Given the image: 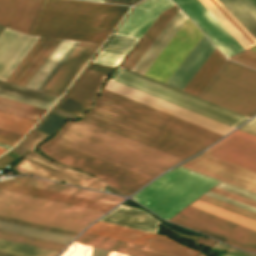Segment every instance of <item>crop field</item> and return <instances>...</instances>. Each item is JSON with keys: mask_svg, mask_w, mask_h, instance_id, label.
I'll return each instance as SVG.
<instances>
[{"mask_svg": "<svg viewBox=\"0 0 256 256\" xmlns=\"http://www.w3.org/2000/svg\"><path fill=\"white\" fill-rule=\"evenodd\" d=\"M82 120L181 159L223 136L106 89Z\"/></svg>", "mask_w": 256, "mask_h": 256, "instance_id": "crop-field-1", "label": "crop field"}, {"mask_svg": "<svg viewBox=\"0 0 256 256\" xmlns=\"http://www.w3.org/2000/svg\"><path fill=\"white\" fill-rule=\"evenodd\" d=\"M53 140L151 179L181 160L82 120L69 121Z\"/></svg>", "mask_w": 256, "mask_h": 256, "instance_id": "crop-field-2", "label": "crop field"}, {"mask_svg": "<svg viewBox=\"0 0 256 256\" xmlns=\"http://www.w3.org/2000/svg\"><path fill=\"white\" fill-rule=\"evenodd\" d=\"M130 7L44 0L29 34L103 42Z\"/></svg>", "mask_w": 256, "mask_h": 256, "instance_id": "crop-field-3", "label": "crop field"}, {"mask_svg": "<svg viewBox=\"0 0 256 256\" xmlns=\"http://www.w3.org/2000/svg\"><path fill=\"white\" fill-rule=\"evenodd\" d=\"M104 212L0 189V215L80 232Z\"/></svg>", "mask_w": 256, "mask_h": 256, "instance_id": "crop-field-4", "label": "crop field"}, {"mask_svg": "<svg viewBox=\"0 0 256 256\" xmlns=\"http://www.w3.org/2000/svg\"><path fill=\"white\" fill-rule=\"evenodd\" d=\"M217 182L219 181L178 167L149 184L132 198L167 220Z\"/></svg>", "mask_w": 256, "mask_h": 256, "instance_id": "crop-field-5", "label": "crop field"}, {"mask_svg": "<svg viewBox=\"0 0 256 256\" xmlns=\"http://www.w3.org/2000/svg\"><path fill=\"white\" fill-rule=\"evenodd\" d=\"M199 97L251 117L256 114V71L226 60Z\"/></svg>", "mask_w": 256, "mask_h": 256, "instance_id": "crop-field-6", "label": "crop field"}, {"mask_svg": "<svg viewBox=\"0 0 256 256\" xmlns=\"http://www.w3.org/2000/svg\"><path fill=\"white\" fill-rule=\"evenodd\" d=\"M111 80L152 95L169 103L175 104L192 112L198 113L220 123L226 124L233 128L237 127L246 119H248L245 116L200 100L122 68H119L112 75Z\"/></svg>", "mask_w": 256, "mask_h": 256, "instance_id": "crop-field-7", "label": "crop field"}, {"mask_svg": "<svg viewBox=\"0 0 256 256\" xmlns=\"http://www.w3.org/2000/svg\"><path fill=\"white\" fill-rule=\"evenodd\" d=\"M40 147L50 157L64 164L93 173L109 186L126 195L132 194L151 180L53 140Z\"/></svg>", "mask_w": 256, "mask_h": 256, "instance_id": "crop-field-8", "label": "crop field"}, {"mask_svg": "<svg viewBox=\"0 0 256 256\" xmlns=\"http://www.w3.org/2000/svg\"><path fill=\"white\" fill-rule=\"evenodd\" d=\"M169 221L195 229L244 250L256 251V231L191 206Z\"/></svg>", "mask_w": 256, "mask_h": 256, "instance_id": "crop-field-9", "label": "crop field"}, {"mask_svg": "<svg viewBox=\"0 0 256 256\" xmlns=\"http://www.w3.org/2000/svg\"><path fill=\"white\" fill-rule=\"evenodd\" d=\"M202 35L187 18L144 76L165 83Z\"/></svg>", "mask_w": 256, "mask_h": 256, "instance_id": "crop-field-10", "label": "crop field"}, {"mask_svg": "<svg viewBox=\"0 0 256 256\" xmlns=\"http://www.w3.org/2000/svg\"><path fill=\"white\" fill-rule=\"evenodd\" d=\"M85 232L186 256H196L199 254V252L186 248L162 235L151 234L101 221L95 223Z\"/></svg>", "mask_w": 256, "mask_h": 256, "instance_id": "crop-field-11", "label": "crop field"}, {"mask_svg": "<svg viewBox=\"0 0 256 256\" xmlns=\"http://www.w3.org/2000/svg\"><path fill=\"white\" fill-rule=\"evenodd\" d=\"M226 56L244 48L198 0H173Z\"/></svg>", "mask_w": 256, "mask_h": 256, "instance_id": "crop-field-12", "label": "crop field"}, {"mask_svg": "<svg viewBox=\"0 0 256 256\" xmlns=\"http://www.w3.org/2000/svg\"><path fill=\"white\" fill-rule=\"evenodd\" d=\"M182 166L256 192V172L211 156L202 154Z\"/></svg>", "mask_w": 256, "mask_h": 256, "instance_id": "crop-field-13", "label": "crop field"}, {"mask_svg": "<svg viewBox=\"0 0 256 256\" xmlns=\"http://www.w3.org/2000/svg\"><path fill=\"white\" fill-rule=\"evenodd\" d=\"M27 159L35 160L45 166L58 170V172L45 168L36 163H33ZM16 166L41 178L67 182V183L84 186V187H88V188H92L100 191H102L106 185L104 182H102L98 178L80 173L78 171H75L65 166L55 164L31 151H29L21 160V162Z\"/></svg>", "mask_w": 256, "mask_h": 256, "instance_id": "crop-field-14", "label": "crop field"}, {"mask_svg": "<svg viewBox=\"0 0 256 256\" xmlns=\"http://www.w3.org/2000/svg\"><path fill=\"white\" fill-rule=\"evenodd\" d=\"M205 154L256 171V136L237 130Z\"/></svg>", "mask_w": 256, "mask_h": 256, "instance_id": "crop-field-15", "label": "crop field"}, {"mask_svg": "<svg viewBox=\"0 0 256 256\" xmlns=\"http://www.w3.org/2000/svg\"><path fill=\"white\" fill-rule=\"evenodd\" d=\"M106 89L111 90L113 92L119 93L136 101L142 102L159 110L165 111L187 121L193 122L210 130L216 131L223 135L227 134L233 128L228 127L226 125L220 124L198 114L192 113L175 105L169 104L152 96L146 95L124 85L118 84L109 80L107 83Z\"/></svg>", "mask_w": 256, "mask_h": 256, "instance_id": "crop-field-16", "label": "crop field"}, {"mask_svg": "<svg viewBox=\"0 0 256 256\" xmlns=\"http://www.w3.org/2000/svg\"><path fill=\"white\" fill-rule=\"evenodd\" d=\"M101 44L80 41L42 92L60 96Z\"/></svg>", "mask_w": 256, "mask_h": 256, "instance_id": "crop-field-17", "label": "crop field"}, {"mask_svg": "<svg viewBox=\"0 0 256 256\" xmlns=\"http://www.w3.org/2000/svg\"><path fill=\"white\" fill-rule=\"evenodd\" d=\"M38 38L4 29L0 34V80H6Z\"/></svg>", "mask_w": 256, "mask_h": 256, "instance_id": "crop-field-18", "label": "crop field"}, {"mask_svg": "<svg viewBox=\"0 0 256 256\" xmlns=\"http://www.w3.org/2000/svg\"><path fill=\"white\" fill-rule=\"evenodd\" d=\"M174 5L171 0H146L137 5L116 35L140 39L159 14Z\"/></svg>", "mask_w": 256, "mask_h": 256, "instance_id": "crop-field-19", "label": "crop field"}, {"mask_svg": "<svg viewBox=\"0 0 256 256\" xmlns=\"http://www.w3.org/2000/svg\"><path fill=\"white\" fill-rule=\"evenodd\" d=\"M60 40L40 37L6 81L25 86Z\"/></svg>", "mask_w": 256, "mask_h": 256, "instance_id": "crop-field-20", "label": "crop field"}, {"mask_svg": "<svg viewBox=\"0 0 256 256\" xmlns=\"http://www.w3.org/2000/svg\"><path fill=\"white\" fill-rule=\"evenodd\" d=\"M42 0H0V24L27 33Z\"/></svg>", "mask_w": 256, "mask_h": 256, "instance_id": "crop-field-21", "label": "crop field"}, {"mask_svg": "<svg viewBox=\"0 0 256 256\" xmlns=\"http://www.w3.org/2000/svg\"><path fill=\"white\" fill-rule=\"evenodd\" d=\"M214 48L203 35L166 84L182 90Z\"/></svg>", "mask_w": 256, "mask_h": 256, "instance_id": "crop-field-22", "label": "crop field"}, {"mask_svg": "<svg viewBox=\"0 0 256 256\" xmlns=\"http://www.w3.org/2000/svg\"><path fill=\"white\" fill-rule=\"evenodd\" d=\"M101 221L118 224L134 229H139L151 233L157 230V219L143 210L120 205L107 214Z\"/></svg>", "mask_w": 256, "mask_h": 256, "instance_id": "crop-field-23", "label": "crop field"}, {"mask_svg": "<svg viewBox=\"0 0 256 256\" xmlns=\"http://www.w3.org/2000/svg\"><path fill=\"white\" fill-rule=\"evenodd\" d=\"M218 21L237 39L245 48L256 44V39L246 28L219 2V0H199Z\"/></svg>", "mask_w": 256, "mask_h": 256, "instance_id": "crop-field-24", "label": "crop field"}, {"mask_svg": "<svg viewBox=\"0 0 256 256\" xmlns=\"http://www.w3.org/2000/svg\"><path fill=\"white\" fill-rule=\"evenodd\" d=\"M0 188L11 190V191H16V192H20V193H25V194H29V195H34V196H38V197H42V198H47V199H51V200H56V201H60V202H64V203H69V204H73V205H78V206H82V207H87V208L100 210V211H104V212H107L109 209H111L114 206V205H110V204H105V203L87 200V199H83V198H78V197H74V196H69V195H65V194L55 193V192H51V191H46V190H42V189H37V188H33V187L10 183V182H6V181L0 182Z\"/></svg>", "mask_w": 256, "mask_h": 256, "instance_id": "crop-field-25", "label": "crop field"}, {"mask_svg": "<svg viewBox=\"0 0 256 256\" xmlns=\"http://www.w3.org/2000/svg\"><path fill=\"white\" fill-rule=\"evenodd\" d=\"M108 76V74L85 70L70 92L68 91L67 96H65L68 99L90 107L99 95Z\"/></svg>", "mask_w": 256, "mask_h": 256, "instance_id": "crop-field-26", "label": "crop field"}, {"mask_svg": "<svg viewBox=\"0 0 256 256\" xmlns=\"http://www.w3.org/2000/svg\"><path fill=\"white\" fill-rule=\"evenodd\" d=\"M75 242L134 256H179L86 233L79 236Z\"/></svg>", "mask_w": 256, "mask_h": 256, "instance_id": "crop-field-27", "label": "crop field"}, {"mask_svg": "<svg viewBox=\"0 0 256 256\" xmlns=\"http://www.w3.org/2000/svg\"><path fill=\"white\" fill-rule=\"evenodd\" d=\"M178 10L179 9L174 5L162 12L152 26L143 35L137 46L128 54L124 62L122 61L123 63L121 64V67L131 70Z\"/></svg>", "mask_w": 256, "mask_h": 256, "instance_id": "crop-field-28", "label": "crop field"}, {"mask_svg": "<svg viewBox=\"0 0 256 256\" xmlns=\"http://www.w3.org/2000/svg\"><path fill=\"white\" fill-rule=\"evenodd\" d=\"M177 13V12H176ZM187 17L179 10L158 38L153 42L137 64L133 67L135 71L141 75L147 70L154 59L158 56L164 46L168 43L171 37L175 34L178 28L182 25Z\"/></svg>", "mask_w": 256, "mask_h": 256, "instance_id": "crop-field-29", "label": "crop field"}, {"mask_svg": "<svg viewBox=\"0 0 256 256\" xmlns=\"http://www.w3.org/2000/svg\"><path fill=\"white\" fill-rule=\"evenodd\" d=\"M0 96L48 110L58 99L56 96L26 89L0 81Z\"/></svg>", "mask_w": 256, "mask_h": 256, "instance_id": "crop-field-30", "label": "crop field"}, {"mask_svg": "<svg viewBox=\"0 0 256 256\" xmlns=\"http://www.w3.org/2000/svg\"><path fill=\"white\" fill-rule=\"evenodd\" d=\"M29 186L33 187H38L42 189H47L51 191H56L60 193H65L69 195H74L78 197H83L87 199H92L96 201H101L105 203H110L117 205L119 202H121L122 198L100 193V192H95V191H90V190H85V189H80V188H75V187H70L66 185H61V184H56V183H51L39 179H34L31 178L30 182L28 183Z\"/></svg>", "mask_w": 256, "mask_h": 256, "instance_id": "crop-field-31", "label": "crop field"}, {"mask_svg": "<svg viewBox=\"0 0 256 256\" xmlns=\"http://www.w3.org/2000/svg\"><path fill=\"white\" fill-rule=\"evenodd\" d=\"M226 59L215 48L207 60L191 78L183 91L198 95Z\"/></svg>", "mask_w": 256, "mask_h": 256, "instance_id": "crop-field-32", "label": "crop field"}, {"mask_svg": "<svg viewBox=\"0 0 256 256\" xmlns=\"http://www.w3.org/2000/svg\"><path fill=\"white\" fill-rule=\"evenodd\" d=\"M256 38V0H220Z\"/></svg>", "mask_w": 256, "mask_h": 256, "instance_id": "crop-field-33", "label": "crop field"}, {"mask_svg": "<svg viewBox=\"0 0 256 256\" xmlns=\"http://www.w3.org/2000/svg\"><path fill=\"white\" fill-rule=\"evenodd\" d=\"M74 42L75 41L73 40L62 39L35 75L27 83L26 87L37 90Z\"/></svg>", "mask_w": 256, "mask_h": 256, "instance_id": "crop-field-34", "label": "crop field"}, {"mask_svg": "<svg viewBox=\"0 0 256 256\" xmlns=\"http://www.w3.org/2000/svg\"><path fill=\"white\" fill-rule=\"evenodd\" d=\"M0 112L37 122L46 110L0 98Z\"/></svg>", "mask_w": 256, "mask_h": 256, "instance_id": "crop-field-35", "label": "crop field"}, {"mask_svg": "<svg viewBox=\"0 0 256 256\" xmlns=\"http://www.w3.org/2000/svg\"><path fill=\"white\" fill-rule=\"evenodd\" d=\"M191 206L199 208L201 210H204L206 212L212 213L214 215L220 216L222 218H225L227 220L233 221L235 223H238L240 225L246 226L248 228H251L253 230H256V221L246 218L244 216L232 213L230 211L218 208L216 206L204 203L202 201H195Z\"/></svg>", "mask_w": 256, "mask_h": 256, "instance_id": "crop-field-36", "label": "crop field"}, {"mask_svg": "<svg viewBox=\"0 0 256 256\" xmlns=\"http://www.w3.org/2000/svg\"><path fill=\"white\" fill-rule=\"evenodd\" d=\"M0 229L2 230H7V231H12V232H17V233H22L30 236H35L39 238H44L52 241H57L61 243L68 244L69 241L72 239V237L68 236H63L55 233H50L46 231H41L33 228H28L24 226H19L11 223H6L0 221Z\"/></svg>", "mask_w": 256, "mask_h": 256, "instance_id": "crop-field-37", "label": "crop field"}, {"mask_svg": "<svg viewBox=\"0 0 256 256\" xmlns=\"http://www.w3.org/2000/svg\"><path fill=\"white\" fill-rule=\"evenodd\" d=\"M0 239L46 248L55 251H61L66 245L14 233L0 231Z\"/></svg>", "mask_w": 256, "mask_h": 256, "instance_id": "crop-field-38", "label": "crop field"}, {"mask_svg": "<svg viewBox=\"0 0 256 256\" xmlns=\"http://www.w3.org/2000/svg\"><path fill=\"white\" fill-rule=\"evenodd\" d=\"M0 250L23 256H54L58 252L0 240Z\"/></svg>", "mask_w": 256, "mask_h": 256, "instance_id": "crop-field-39", "label": "crop field"}, {"mask_svg": "<svg viewBox=\"0 0 256 256\" xmlns=\"http://www.w3.org/2000/svg\"><path fill=\"white\" fill-rule=\"evenodd\" d=\"M35 124L28 120L0 113V128L25 135Z\"/></svg>", "mask_w": 256, "mask_h": 256, "instance_id": "crop-field-40", "label": "crop field"}, {"mask_svg": "<svg viewBox=\"0 0 256 256\" xmlns=\"http://www.w3.org/2000/svg\"><path fill=\"white\" fill-rule=\"evenodd\" d=\"M65 120L66 118L50 112L35 130L50 136L58 130Z\"/></svg>", "mask_w": 256, "mask_h": 256, "instance_id": "crop-field-41", "label": "crop field"}, {"mask_svg": "<svg viewBox=\"0 0 256 256\" xmlns=\"http://www.w3.org/2000/svg\"><path fill=\"white\" fill-rule=\"evenodd\" d=\"M136 41L137 40L113 35L103 50L126 55Z\"/></svg>", "mask_w": 256, "mask_h": 256, "instance_id": "crop-field-42", "label": "crop field"}, {"mask_svg": "<svg viewBox=\"0 0 256 256\" xmlns=\"http://www.w3.org/2000/svg\"><path fill=\"white\" fill-rule=\"evenodd\" d=\"M0 220L19 224V225H24V226H28V227H33V228H37V229H41V230H46V231H50V232H55V233H59V234H63V235H68V236H72V237H75L78 234L77 232H73V231H68V230H63V229L54 228V227H50V226L40 225V224L31 223V222L22 221V220L13 219V218H8V217H4V216H0Z\"/></svg>", "mask_w": 256, "mask_h": 256, "instance_id": "crop-field-43", "label": "crop field"}, {"mask_svg": "<svg viewBox=\"0 0 256 256\" xmlns=\"http://www.w3.org/2000/svg\"><path fill=\"white\" fill-rule=\"evenodd\" d=\"M199 200L205 201V202H207V203H210V204L219 206V207H221V208H224V209L233 211V212H235V213H238V214H241V215H244V216H247V217H249V218H252V219H255V220H256V214H255V213H252V212H249V211H247V210H244V209L235 207V206H233V205L224 203V202H222V201H219V200L210 198V197H208V196L203 195L202 197L199 198Z\"/></svg>", "mask_w": 256, "mask_h": 256, "instance_id": "crop-field-44", "label": "crop field"}, {"mask_svg": "<svg viewBox=\"0 0 256 256\" xmlns=\"http://www.w3.org/2000/svg\"><path fill=\"white\" fill-rule=\"evenodd\" d=\"M56 108L64 110L66 112H69L71 114L77 115L79 117H81L82 115H84L89 108L82 106L80 104H77L73 101H70L66 98H63L59 104L56 106Z\"/></svg>", "mask_w": 256, "mask_h": 256, "instance_id": "crop-field-45", "label": "crop field"}, {"mask_svg": "<svg viewBox=\"0 0 256 256\" xmlns=\"http://www.w3.org/2000/svg\"><path fill=\"white\" fill-rule=\"evenodd\" d=\"M123 58H124L123 55L101 51L100 54L95 58L93 62L117 67Z\"/></svg>", "mask_w": 256, "mask_h": 256, "instance_id": "crop-field-46", "label": "crop field"}, {"mask_svg": "<svg viewBox=\"0 0 256 256\" xmlns=\"http://www.w3.org/2000/svg\"><path fill=\"white\" fill-rule=\"evenodd\" d=\"M48 136L41 134L35 130H33L29 136L20 144V146L34 150V148L41 143L43 140H45Z\"/></svg>", "mask_w": 256, "mask_h": 256, "instance_id": "crop-field-47", "label": "crop field"}, {"mask_svg": "<svg viewBox=\"0 0 256 256\" xmlns=\"http://www.w3.org/2000/svg\"><path fill=\"white\" fill-rule=\"evenodd\" d=\"M90 247L73 243L62 256H89Z\"/></svg>", "mask_w": 256, "mask_h": 256, "instance_id": "crop-field-48", "label": "crop field"}, {"mask_svg": "<svg viewBox=\"0 0 256 256\" xmlns=\"http://www.w3.org/2000/svg\"><path fill=\"white\" fill-rule=\"evenodd\" d=\"M205 195H208V196H210V197H213V198L222 200V201H224V202L233 204V205H235V206H238V207H241V208H244V209H247V210H249V211H252V212H255V213H256V208H255V207H252V206L246 205V204H244V203L235 201V200H233V199H230V198H227V197H225V196L216 194V193H214V192L209 191V192H207Z\"/></svg>", "mask_w": 256, "mask_h": 256, "instance_id": "crop-field-49", "label": "crop field"}, {"mask_svg": "<svg viewBox=\"0 0 256 256\" xmlns=\"http://www.w3.org/2000/svg\"><path fill=\"white\" fill-rule=\"evenodd\" d=\"M216 187L222 188V189H224V190H227V191L236 193V194H238V195H241V196H244V197H247V198H250V199L256 201V194H253V193H250V192H248V191L239 189V188H237V187L228 185V184H226V183L221 182V183L218 184Z\"/></svg>", "mask_w": 256, "mask_h": 256, "instance_id": "crop-field-50", "label": "crop field"}, {"mask_svg": "<svg viewBox=\"0 0 256 256\" xmlns=\"http://www.w3.org/2000/svg\"><path fill=\"white\" fill-rule=\"evenodd\" d=\"M215 249L216 250H227V253L219 254V256H256L255 254L246 253V252L228 247L221 243H219V245H217Z\"/></svg>", "mask_w": 256, "mask_h": 256, "instance_id": "crop-field-51", "label": "crop field"}, {"mask_svg": "<svg viewBox=\"0 0 256 256\" xmlns=\"http://www.w3.org/2000/svg\"><path fill=\"white\" fill-rule=\"evenodd\" d=\"M211 191H214V192H216V193L225 195V196H227V197L233 198V199H235V200H238V201H241V202H244V203H246V204H249V205H252V206H255V207H256V202H255V201H252V200H249V199H247V198H244V197L235 195V194H233V193H230V192L221 190V189H219V188L214 187L213 189H211Z\"/></svg>", "mask_w": 256, "mask_h": 256, "instance_id": "crop-field-52", "label": "crop field"}, {"mask_svg": "<svg viewBox=\"0 0 256 256\" xmlns=\"http://www.w3.org/2000/svg\"><path fill=\"white\" fill-rule=\"evenodd\" d=\"M231 59L256 69V59L253 57L240 53Z\"/></svg>", "mask_w": 256, "mask_h": 256, "instance_id": "crop-field-53", "label": "crop field"}, {"mask_svg": "<svg viewBox=\"0 0 256 256\" xmlns=\"http://www.w3.org/2000/svg\"><path fill=\"white\" fill-rule=\"evenodd\" d=\"M79 41H76L75 44L71 47V49L67 52V54L63 57V59L59 62V64L55 67V69L51 72V74L47 77V79L43 82V84L39 87V91L46 85V83L50 80V78L54 75V73L58 70V68L63 64V62L67 59V57L71 54V52L78 45Z\"/></svg>", "mask_w": 256, "mask_h": 256, "instance_id": "crop-field-54", "label": "crop field"}, {"mask_svg": "<svg viewBox=\"0 0 256 256\" xmlns=\"http://www.w3.org/2000/svg\"><path fill=\"white\" fill-rule=\"evenodd\" d=\"M87 69L111 74L115 68L91 63Z\"/></svg>", "mask_w": 256, "mask_h": 256, "instance_id": "crop-field-55", "label": "crop field"}, {"mask_svg": "<svg viewBox=\"0 0 256 256\" xmlns=\"http://www.w3.org/2000/svg\"><path fill=\"white\" fill-rule=\"evenodd\" d=\"M239 130L245 131L247 133L256 135V118L245 124Z\"/></svg>", "mask_w": 256, "mask_h": 256, "instance_id": "crop-field-56", "label": "crop field"}, {"mask_svg": "<svg viewBox=\"0 0 256 256\" xmlns=\"http://www.w3.org/2000/svg\"><path fill=\"white\" fill-rule=\"evenodd\" d=\"M138 1H140V0H105L104 2L133 5V4L137 3Z\"/></svg>", "mask_w": 256, "mask_h": 256, "instance_id": "crop-field-57", "label": "crop field"}, {"mask_svg": "<svg viewBox=\"0 0 256 256\" xmlns=\"http://www.w3.org/2000/svg\"><path fill=\"white\" fill-rule=\"evenodd\" d=\"M0 135L6 136V137H9V138H13V139H17V140H19L20 138L23 137V135H19V134L12 133V132L5 131V130H1V129H0Z\"/></svg>", "mask_w": 256, "mask_h": 256, "instance_id": "crop-field-58", "label": "crop field"}, {"mask_svg": "<svg viewBox=\"0 0 256 256\" xmlns=\"http://www.w3.org/2000/svg\"><path fill=\"white\" fill-rule=\"evenodd\" d=\"M195 242L203 243V244H206L211 247H213L217 244V241L210 240V239L204 238V237H199Z\"/></svg>", "mask_w": 256, "mask_h": 256, "instance_id": "crop-field-59", "label": "crop field"}, {"mask_svg": "<svg viewBox=\"0 0 256 256\" xmlns=\"http://www.w3.org/2000/svg\"><path fill=\"white\" fill-rule=\"evenodd\" d=\"M29 180H30L29 177H16V178L8 179L7 181H11V182H16V183L27 185Z\"/></svg>", "mask_w": 256, "mask_h": 256, "instance_id": "crop-field-60", "label": "crop field"}, {"mask_svg": "<svg viewBox=\"0 0 256 256\" xmlns=\"http://www.w3.org/2000/svg\"><path fill=\"white\" fill-rule=\"evenodd\" d=\"M107 250L93 248L91 256H108Z\"/></svg>", "mask_w": 256, "mask_h": 256, "instance_id": "crop-field-61", "label": "crop field"}, {"mask_svg": "<svg viewBox=\"0 0 256 256\" xmlns=\"http://www.w3.org/2000/svg\"><path fill=\"white\" fill-rule=\"evenodd\" d=\"M16 142H17L16 140H12V139H8V138L0 136V143H4V144L13 146L16 144Z\"/></svg>", "mask_w": 256, "mask_h": 256, "instance_id": "crop-field-62", "label": "crop field"}, {"mask_svg": "<svg viewBox=\"0 0 256 256\" xmlns=\"http://www.w3.org/2000/svg\"><path fill=\"white\" fill-rule=\"evenodd\" d=\"M3 157V156H2ZM12 158H10L9 156H4L3 158L0 159V167L3 168L5 165H7L9 162H11Z\"/></svg>", "mask_w": 256, "mask_h": 256, "instance_id": "crop-field-63", "label": "crop field"}, {"mask_svg": "<svg viewBox=\"0 0 256 256\" xmlns=\"http://www.w3.org/2000/svg\"><path fill=\"white\" fill-rule=\"evenodd\" d=\"M13 152L17 153V154H22L23 152H25V149L21 148V147H16L14 150H12Z\"/></svg>", "mask_w": 256, "mask_h": 256, "instance_id": "crop-field-64", "label": "crop field"}, {"mask_svg": "<svg viewBox=\"0 0 256 256\" xmlns=\"http://www.w3.org/2000/svg\"><path fill=\"white\" fill-rule=\"evenodd\" d=\"M11 169H13V170H15V171H17V172H19L21 174H30V173H28V172H26V171H24V170H22V169H20V168H18L16 166L11 168ZM30 175H32V174H30Z\"/></svg>", "mask_w": 256, "mask_h": 256, "instance_id": "crop-field-65", "label": "crop field"}, {"mask_svg": "<svg viewBox=\"0 0 256 256\" xmlns=\"http://www.w3.org/2000/svg\"><path fill=\"white\" fill-rule=\"evenodd\" d=\"M243 53L248 54V55L253 56V57L256 58V52H255V51H252V50H250V49L244 51Z\"/></svg>", "mask_w": 256, "mask_h": 256, "instance_id": "crop-field-66", "label": "crop field"}, {"mask_svg": "<svg viewBox=\"0 0 256 256\" xmlns=\"http://www.w3.org/2000/svg\"><path fill=\"white\" fill-rule=\"evenodd\" d=\"M0 256H18V255H14V254L5 253V252L0 251Z\"/></svg>", "mask_w": 256, "mask_h": 256, "instance_id": "crop-field-67", "label": "crop field"}, {"mask_svg": "<svg viewBox=\"0 0 256 256\" xmlns=\"http://www.w3.org/2000/svg\"><path fill=\"white\" fill-rule=\"evenodd\" d=\"M109 256H126V255H122V254H118V253H115V252H109Z\"/></svg>", "mask_w": 256, "mask_h": 256, "instance_id": "crop-field-68", "label": "crop field"}, {"mask_svg": "<svg viewBox=\"0 0 256 256\" xmlns=\"http://www.w3.org/2000/svg\"><path fill=\"white\" fill-rule=\"evenodd\" d=\"M0 147L7 148V149L11 148V146H7V145H3V144H0Z\"/></svg>", "mask_w": 256, "mask_h": 256, "instance_id": "crop-field-69", "label": "crop field"}, {"mask_svg": "<svg viewBox=\"0 0 256 256\" xmlns=\"http://www.w3.org/2000/svg\"><path fill=\"white\" fill-rule=\"evenodd\" d=\"M7 149H3V148H0V154H2L3 152H5Z\"/></svg>", "mask_w": 256, "mask_h": 256, "instance_id": "crop-field-70", "label": "crop field"}, {"mask_svg": "<svg viewBox=\"0 0 256 256\" xmlns=\"http://www.w3.org/2000/svg\"><path fill=\"white\" fill-rule=\"evenodd\" d=\"M88 1H98V2H103L104 0H88Z\"/></svg>", "mask_w": 256, "mask_h": 256, "instance_id": "crop-field-71", "label": "crop field"}, {"mask_svg": "<svg viewBox=\"0 0 256 256\" xmlns=\"http://www.w3.org/2000/svg\"><path fill=\"white\" fill-rule=\"evenodd\" d=\"M4 27L0 26V33L3 31Z\"/></svg>", "mask_w": 256, "mask_h": 256, "instance_id": "crop-field-72", "label": "crop field"}, {"mask_svg": "<svg viewBox=\"0 0 256 256\" xmlns=\"http://www.w3.org/2000/svg\"><path fill=\"white\" fill-rule=\"evenodd\" d=\"M250 49H252V50H255V51H256V46H254V47H252V48H250Z\"/></svg>", "mask_w": 256, "mask_h": 256, "instance_id": "crop-field-73", "label": "crop field"}, {"mask_svg": "<svg viewBox=\"0 0 256 256\" xmlns=\"http://www.w3.org/2000/svg\"><path fill=\"white\" fill-rule=\"evenodd\" d=\"M198 256H204L202 253L200 254V255H198Z\"/></svg>", "mask_w": 256, "mask_h": 256, "instance_id": "crop-field-74", "label": "crop field"}]
</instances>
